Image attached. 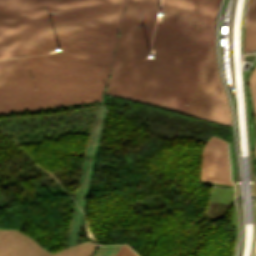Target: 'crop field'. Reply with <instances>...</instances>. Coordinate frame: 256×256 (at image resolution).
Returning a JSON list of instances; mask_svg holds the SVG:
<instances>
[{"label": "crop field", "instance_id": "d8731c3e", "mask_svg": "<svg viewBox=\"0 0 256 256\" xmlns=\"http://www.w3.org/2000/svg\"><path fill=\"white\" fill-rule=\"evenodd\" d=\"M121 245L101 247L95 256H114Z\"/></svg>", "mask_w": 256, "mask_h": 256}, {"label": "crop field", "instance_id": "ac0d7876", "mask_svg": "<svg viewBox=\"0 0 256 256\" xmlns=\"http://www.w3.org/2000/svg\"><path fill=\"white\" fill-rule=\"evenodd\" d=\"M220 0H127L106 94L231 126L215 60V14ZM150 47V46H149Z\"/></svg>", "mask_w": 256, "mask_h": 256}, {"label": "crop field", "instance_id": "34b2d1b8", "mask_svg": "<svg viewBox=\"0 0 256 256\" xmlns=\"http://www.w3.org/2000/svg\"><path fill=\"white\" fill-rule=\"evenodd\" d=\"M201 181L232 185L229 180V168L226 142L211 137L203 148Z\"/></svg>", "mask_w": 256, "mask_h": 256}, {"label": "crop field", "instance_id": "f4fd0767", "mask_svg": "<svg viewBox=\"0 0 256 256\" xmlns=\"http://www.w3.org/2000/svg\"><path fill=\"white\" fill-rule=\"evenodd\" d=\"M256 51V0H248L243 52Z\"/></svg>", "mask_w": 256, "mask_h": 256}, {"label": "crop field", "instance_id": "dd49c442", "mask_svg": "<svg viewBox=\"0 0 256 256\" xmlns=\"http://www.w3.org/2000/svg\"><path fill=\"white\" fill-rule=\"evenodd\" d=\"M96 245L84 243L73 248L56 253L52 256H89L95 249Z\"/></svg>", "mask_w": 256, "mask_h": 256}, {"label": "crop field", "instance_id": "8a807250", "mask_svg": "<svg viewBox=\"0 0 256 256\" xmlns=\"http://www.w3.org/2000/svg\"><path fill=\"white\" fill-rule=\"evenodd\" d=\"M125 3L0 0V58L63 49L0 61V113L100 101Z\"/></svg>", "mask_w": 256, "mask_h": 256}, {"label": "crop field", "instance_id": "5a996713", "mask_svg": "<svg viewBox=\"0 0 256 256\" xmlns=\"http://www.w3.org/2000/svg\"><path fill=\"white\" fill-rule=\"evenodd\" d=\"M115 256H135L134 253L125 245L119 249Z\"/></svg>", "mask_w": 256, "mask_h": 256}, {"label": "crop field", "instance_id": "e52e79f7", "mask_svg": "<svg viewBox=\"0 0 256 256\" xmlns=\"http://www.w3.org/2000/svg\"><path fill=\"white\" fill-rule=\"evenodd\" d=\"M248 82H249V90H250L252 104H253L254 116L256 120V67L252 71ZM255 156H256V147H255Z\"/></svg>", "mask_w": 256, "mask_h": 256}, {"label": "crop field", "instance_id": "3316defc", "mask_svg": "<svg viewBox=\"0 0 256 256\" xmlns=\"http://www.w3.org/2000/svg\"><path fill=\"white\" fill-rule=\"evenodd\" d=\"M255 253H256V249H255Z\"/></svg>", "mask_w": 256, "mask_h": 256}, {"label": "crop field", "instance_id": "412701ff", "mask_svg": "<svg viewBox=\"0 0 256 256\" xmlns=\"http://www.w3.org/2000/svg\"><path fill=\"white\" fill-rule=\"evenodd\" d=\"M38 246L17 230H0V256L52 255Z\"/></svg>", "mask_w": 256, "mask_h": 256}]
</instances>
